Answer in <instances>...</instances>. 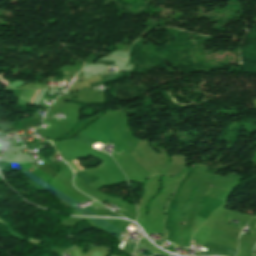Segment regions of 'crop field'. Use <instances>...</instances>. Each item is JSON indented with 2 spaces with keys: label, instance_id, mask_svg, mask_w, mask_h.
<instances>
[{
  "label": "crop field",
  "instance_id": "obj_1",
  "mask_svg": "<svg viewBox=\"0 0 256 256\" xmlns=\"http://www.w3.org/2000/svg\"><path fill=\"white\" fill-rule=\"evenodd\" d=\"M34 92L35 90L24 89L19 97V103L28 105L29 99Z\"/></svg>",
  "mask_w": 256,
  "mask_h": 256
},
{
  "label": "crop field",
  "instance_id": "obj_2",
  "mask_svg": "<svg viewBox=\"0 0 256 256\" xmlns=\"http://www.w3.org/2000/svg\"><path fill=\"white\" fill-rule=\"evenodd\" d=\"M76 164L78 165V167L80 168V170H83L82 166L78 163L77 160H75ZM69 164V166L74 170V172H78L80 171L79 168L77 167V165L75 163H72L71 161L67 162Z\"/></svg>",
  "mask_w": 256,
  "mask_h": 256
},
{
  "label": "crop field",
  "instance_id": "obj_3",
  "mask_svg": "<svg viewBox=\"0 0 256 256\" xmlns=\"http://www.w3.org/2000/svg\"><path fill=\"white\" fill-rule=\"evenodd\" d=\"M35 96V95H34ZM34 98V97H33Z\"/></svg>",
  "mask_w": 256,
  "mask_h": 256
}]
</instances>
